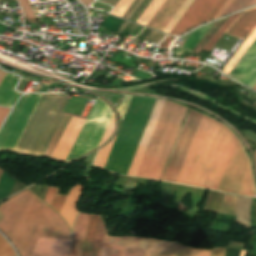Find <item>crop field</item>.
I'll use <instances>...</instances> for the list:
<instances>
[{
    "mask_svg": "<svg viewBox=\"0 0 256 256\" xmlns=\"http://www.w3.org/2000/svg\"><path fill=\"white\" fill-rule=\"evenodd\" d=\"M21 7H22V10H23V14H24V17L26 18V20L28 22H33V23H37L36 21V17L33 13V10L28 2V0H18Z\"/></svg>",
    "mask_w": 256,
    "mask_h": 256,
    "instance_id": "31",
    "label": "crop field"
},
{
    "mask_svg": "<svg viewBox=\"0 0 256 256\" xmlns=\"http://www.w3.org/2000/svg\"><path fill=\"white\" fill-rule=\"evenodd\" d=\"M41 94L22 96L8 120L0 130V151H13Z\"/></svg>",
    "mask_w": 256,
    "mask_h": 256,
    "instance_id": "7",
    "label": "crop field"
},
{
    "mask_svg": "<svg viewBox=\"0 0 256 256\" xmlns=\"http://www.w3.org/2000/svg\"><path fill=\"white\" fill-rule=\"evenodd\" d=\"M193 2V0H186L180 10L177 12V14L174 16V18L171 20V22L168 24V26L165 28L164 32L170 33V31L173 29L175 24L178 22V20L181 18V16L184 14V12L187 10V8L190 6V4Z\"/></svg>",
    "mask_w": 256,
    "mask_h": 256,
    "instance_id": "29",
    "label": "crop field"
},
{
    "mask_svg": "<svg viewBox=\"0 0 256 256\" xmlns=\"http://www.w3.org/2000/svg\"><path fill=\"white\" fill-rule=\"evenodd\" d=\"M226 249L217 248L215 250H211L210 256H224ZM241 250L227 249L225 256H240Z\"/></svg>",
    "mask_w": 256,
    "mask_h": 256,
    "instance_id": "33",
    "label": "crop field"
},
{
    "mask_svg": "<svg viewBox=\"0 0 256 256\" xmlns=\"http://www.w3.org/2000/svg\"><path fill=\"white\" fill-rule=\"evenodd\" d=\"M239 82L251 88L254 86V84L256 83V59L253 61L250 67L246 70V72L240 78Z\"/></svg>",
    "mask_w": 256,
    "mask_h": 256,
    "instance_id": "27",
    "label": "crop field"
},
{
    "mask_svg": "<svg viewBox=\"0 0 256 256\" xmlns=\"http://www.w3.org/2000/svg\"><path fill=\"white\" fill-rule=\"evenodd\" d=\"M113 128H114V116L112 117V119H111V121H110V123H109V125H108V127H107V129H106V131H105V133H104L100 143H99V145H101L102 143H104L107 140V138L109 137V135L112 132Z\"/></svg>",
    "mask_w": 256,
    "mask_h": 256,
    "instance_id": "38",
    "label": "crop field"
},
{
    "mask_svg": "<svg viewBox=\"0 0 256 256\" xmlns=\"http://www.w3.org/2000/svg\"><path fill=\"white\" fill-rule=\"evenodd\" d=\"M90 214L79 212L72 230L73 241L69 256H80Z\"/></svg>",
    "mask_w": 256,
    "mask_h": 256,
    "instance_id": "16",
    "label": "crop field"
},
{
    "mask_svg": "<svg viewBox=\"0 0 256 256\" xmlns=\"http://www.w3.org/2000/svg\"><path fill=\"white\" fill-rule=\"evenodd\" d=\"M245 252H246V251H242V252H241V256H244Z\"/></svg>",
    "mask_w": 256,
    "mask_h": 256,
    "instance_id": "48",
    "label": "crop field"
},
{
    "mask_svg": "<svg viewBox=\"0 0 256 256\" xmlns=\"http://www.w3.org/2000/svg\"><path fill=\"white\" fill-rule=\"evenodd\" d=\"M117 35H118V34H117ZM119 36H120V35H119ZM122 37H123V36H121V39H122ZM121 39H120V40H121ZM120 40H119V41H120ZM119 41H118V42H119ZM118 42H116V44H117Z\"/></svg>",
    "mask_w": 256,
    "mask_h": 256,
    "instance_id": "52",
    "label": "crop field"
},
{
    "mask_svg": "<svg viewBox=\"0 0 256 256\" xmlns=\"http://www.w3.org/2000/svg\"><path fill=\"white\" fill-rule=\"evenodd\" d=\"M143 0H135L134 3L131 5L129 10L126 12V14L123 16V19L129 20L130 17L133 15V13L136 11V9L139 7V5L142 3Z\"/></svg>",
    "mask_w": 256,
    "mask_h": 256,
    "instance_id": "37",
    "label": "crop field"
},
{
    "mask_svg": "<svg viewBox=\"0 0 256 256\" xmlns=\"http://www.w3.org/2000/svg\"><path fill=\"white\" fill-rule=\"evenodd\" d=\"M104 232H105V228H104L102 219L100 217L98 227H97V231H96V235H95L93 248H92V252H91V256H99V252H100Z\"/></svg>",
    "mask_w": 256,
    "mask_h": 256,
    "instance_id": "26",
    "label": "crop field"
},
{
    "mask_svg": "<svg viewBox=\"0 0 256 256\" xmlns=\"http://www.w3.org/2000/svg\"><path fill=\"white\" fill-rule=\"evenodd\" d=\"M251 1L252 0H235V2L229 8V10L226 12V14L235 12L239 9H242V8L248 6Z\"/></svg>",
    "mask_w": 256,
    "mask_h": 256,
    "instance_id": "34",
    "label": "crop field"
},
{
    "mask_svg": "<svg viewBox=\"0 0 256 256\" xmlns=\"http://www.w3.org/2000/svg\"><path fill=\"white\" fill-rule=\"evenodd\" d=\"M248 37V36H247ZM256 40V29L251 33V35L244 41V43L240 46V48L236 51V53L231 57V59L227 62V64L223 67L221 71L225 74H229V72L233 69L236 63L240 60V58L244 55L247 49L251 46V44Z\"/></svg>",
    "mask_w": 256,
    "mask_h": 256,
    "instance_id": "20",
    "label": "crop field"
},
{
    "mask_svg": "<svg viewBox=\"0 0 256 256\" xmlns=\"http://www.w3.org/2000/svg\"><path fill=\"white\" fill-rule=\"evenodd\" d=\"M217 190L256 196L249 160L238 140Z\"/></svg>",
    "mask_w": 256,
    "mask_h": 256,
    "instance_id": "6",
    "label": "crop field"
},
{
    "mask_svg": "<svg viewBox=\"0 0 256 256\" xmlns=\"http://www.w3.org/2000/svg\"><path fill=\"white\" fill-rule=\"evenodd\" d=\"M65 199H66V196H62V195L57 194L51 207L54 210H56L58 213H60Z\"/></svg>",
    "mask_w": 256,
    "mask_h": 256,
    "instance_id": "35",
    "label": "crop field"
},
{
    "mask_svg": "<svg viewBox=\"0 0 256 256\" xmlns=\"http://www.w3.org/2000/svg\"><path fill=\"white\" fill-rule=\"evenodd\" d=\"M238 197L224 195L218 213L235 216Z\"/></svg>",
    "mask_w": 256,
    "mask_h": 256,
    "instance_id": "23",
    "label": "crop field"
},
{
    "mask_svg": "<svg viewBox=\"0 0 256 256\" xmlns=\"http://www.w3.org/2000/svg\"><path fill=\"white\" fill-rule=\"evenodd\" d=\"M185 109L165 102L136 176L159 179Z\"/></svg>",
    "mask_w": 256,
    "mask_h": 256,
    "instance_id": "4",
    "label": "crop field"
},
{
    "mask_svg": "<svg viewBox=\"0 0 256 256\" xmlns=\"http://www.w3.org/2000/svg\"><path fill=\"white\" fill-rule=\"evenodd\" d=\"M165 101L157 100L127 175L135 176Z\"/></svg>",
    "mask_w": 256,
    "mask_h": 256,
    "instance_id": "12",
    "label": "crop field"
},
{
    "mask_svg": "<svg viewBox=\"0 0 256 256\" xmlns=\"http://www.w3.org/2000/svg\"><path fill=\"white\" fill-rule=\"evenodd\" d=\"M71 239L39 238L32 256H67Z\"/></svg>",
    "mask_w": 256,
    "mask_h": 256,
    "instance_id": "13",
    "label": "crop field"
},
{
    "mask_svg": "<svg viewBox=\"0 0 256 256\" xmlns=\"http://www.w3.org/2000/svg\"><path fill=\"white\" fill-rule=\"evenodd\" d=\"M256 58V41L252 44V46L248 49L245 55L241 58V60L237 63L234 69L228 75L229 77L239 80L245 70L249 67L252 61Z\"/></svg>",
    "mask_w": 256,
    "mask_h": 256,
    "instance_id": "19",
    "label": "crop field"
},
{
    "mask_svg": "<svg viewBox=\"0 0 256 256\" xmlns=\"http://www.w3.org/2000/svg\"><path fill=\"white\" fill-rule=\"evenodd\" d=\"M159 35V33H156V32H154V31H152L150 34H148L147 36H146V38H149V39H151V40H153L155 37H157Z\"/></svg>",
    "mask_w": 256,
    "mask_h": 256,
    "instance_id": "42",
    "label": "crop field"
},
{
    "mask_svg": "<svg viewBox=\"0 0 256 256\" xmlns=\"http://www.w3.org/2000/svg\"><path fill=\"white\" fill-rule=\"evenodd\" d=\"M112 115L107 104L97 98L65 163L96 149Z\"/></svg>",
    "mask_w": 256,
    "mask_h": 256,
    "instance_id": "5",
    "label": "crop field"
},
{
    "mask_svg": "<svg viewBox=\"0 0 256 256\" xmlns=\"http://www.w3.org/2000/svg\"><path fill=\"white\" fill-rule=\"evenodd\" d=\"M59 187L50 186L44 201L50 206Z\"/></svg>",
    "mask_w": 256,
    "mask_h": 256,
    "instance_id": "36",
    "label": "crop field"
},
{
    "mask_svg": "<svg viewBox=\"0 0 256 256\" xmlns=\"http://www.w3.org/2000/svg\"><path fill=\"white\" fill-rule=\"evenodd\" d=\"M9 111H10L9 108L0 107V125L3 122L4 118L6 117V115L8 114Z\"/></svg>",
    "mask_w": 256,
    "mask_h": 256,
    "instance_id": "40",
    "label": "crop field"
},
{
    "mask_svg": "<svg viewBox=\"0 0 256 256\" xmlns=\"http://www.w3.org/2000/svg\"><path fill=\"white\" fill-rule=\"evenodd\" d=\"M129 25H130V23H129ZM129 25H128V27H129ZM132 26H133V24H131V26H130L129 28L127 27L128 30L126 31V29H127V28H126V29L122 32L121 35H123V33H124L125 31H126V32H125V34H126ZM134 26H135V25H134ZM134 26L130 29V31L126 34V36H128V34L131 32V30L134 28ZM125 34H124V35H125Z\"/></svg>",
    "mask_w": 256,
    "mask_h": 256,
    "instance_id": "43",
    "label": "crop field"
},
{
    "mask_svg": "<svg viewBox=\"0 0 256 256\" xmlns=\"http://www.w3.org/2000/svg\"><path fill=\"white\" fill-rule=\"evenodd\" d=\"M185 0H166L148 27L163 31Z\"/></svg>",
    "mask_w": 256,
    "mask_h": 256,
    "instance_id": "15",
    "label": "crop field"
},
{
    "mask_svg": "<svg viewBox=\"0 0 256 256\" xmlns=\"http://www.w3.org/2000/svg\"><path fill=\"white\" fill-rule=\"evenodd\" d=\"M82 185L76 183L68 195L60 215L64 218L68 226L72 229L74 219L77 214L76 203L82 193Z\"/></svg>",
    "mask_w": 256,
    "mask_h": 256,
    "instance_id": "18",
    "label": "crop field"
},
{
    "mask_svg": "<svg viewBox=\"0 0 256 256\" xmlns=\"http://www.w3.org/2000/svg\"><path fill=\"white\" fill-rule=\"evenodd\" d=\"M255 27L256 7L244 11L240 15V17L226 31V34L246 39L247 36L254 30Z\"/></svg>",
    "mask_w": 256,
    "mask_h": 256,
    "instance_id": "14",
    "label": "crop field"
},
{
    "mask_svg": "<svg viewBox=\"0 0 256 256\" xmlns=\"http://www.w3.org/2000/svg\"><path fill=\"white\" fill-rule=\"evenodd\" d=\"M172 39H173L172 37L167 36V37L163 40V42L159 45V47H160V48H168V45L171 43Z\"/></svg>",
    "mask_w": 256,
    "mask_h": 256,
    "instance_id": "41",
    "label": "crop field"
},
{
    "mask_svg": "<svg viewBox=\"0 0 256 256\" xmlns=\"http://www.w3.org/2000/svg\"><path fill=\"white\" fill-rule=\"evenodd\" d=\"M98 219L99 215L91 214L81 256H90Z\"/></svg>",
    "mask_w": 256,
    "mask_h": 256,
    "instance_id": "22",
    "label": "crop field"
},
{
    "mask_svg": "<svg viewBox=\"0 0 256 256\" xmlns=\"http://www.w3.org/2000/svg\"><path fill=\"white\" fill-rule=\"evenodd\" d=\"M124 24V21L122 22V24L120 25V27ZM120 27H118V29L116 30V33L118 32V30L120 29Z\"/></svg>",
    "mask_w": 256,
    "mask_h": 256,
    "instance_id": "47",
    "label": "crop field"
},
{
    "mask_svg": "<svg viewBox=\"0 0 256 256\" xmlns=\"http://www.w3.org/2000/svg\"><path fill=\"white\" fill-rule=\"evenodd\" d=\"M0 228L21 256H31L38 237L71 238L63 219L29 189L1 204Z\"/></svg>",
    "mask_w": 256,
    "mask_h": 256,
    "instance_id": "2",
    "label": "crop field"
},
{
    "mask_svg": "<svg viewBox=\"0 0 256 256\" xmlns=\"http://www.w3.org/2000/svg\"><path fill=\"white\" fill-rule=\"evenodd\" d=\"M115 138L112 141H110L107 145H105L103 148L99 149L97 156L94 160V164L96 166L102 167V168L104 167Z\"/></svg>",
    "mask_w": 256,
    "mask_h": 256,
    "instance_id": "28",
    "label": "crop field"
},
{
    "mask_svg": "<svg viewBox=\"0 0 256 256\" xmlns=\"http://www.w3.org/2000/svg\"><path fill=\"white\" fill-rule=\"evenodd\" d=\"M255 157H256V152H255Z\"/></svg>",
    "mask_w": 256,
    "mask_h": 256,
    "instance_id": "53",
    "label": "crop field"
},
{
    "mask_svg": "<svg viewBox=\"0 0 256 256\" xmlns=\"http://www.w3.org/2000/svg\"><path fill=\"white\" fill-rule=\"evenodd\" d=\"M83 4L89 5L93 0H80Z\"/></svg>",
    "mask_w": 256,
    "mask_h": 256,
    "instance_id": "44",
    "label": "crop field"
},
{
    "mask_svg": "<svg viewBox=\"0 0 256 256\" xmlns=\"http://www.w3.org/2000/svg\"><path fill=\"white\" fill-rule=\"evenodd\" d=\"M85 120V118L64 114L44 156L65 161Z\"/></svg>",
    "mask_w": 256,
    "mask_h": 256,
    "instance_id": "8",
    "label": "crop field"
},
{
    "mask_svg": "<svg viewBox=\"0 0 256 256\" xmlns=\"http://www.w3.org/2000/svg\"><path fill=\"white\" fill-rule=\"evenodd\" d=\"M253 3H256V0H253V1L250 3V5L253 4Z\"/></svg>",
    "mask_w": 256,
    "mask_h": 256,
    "instance_id": "49",
    "label": "crop field"
},
{
    "mask_svg": "<svg viewBox=\"0 0 256 256\" xmlns=\"http://www.w3.org/2000/svg\"><path fill=\"white\" fill-rule=\"evenodd\" d=\"M2 172H3V170L0 169V176H1Z\"/></svg>",
    "mask_w": 256,
    "mask_h": 256,
    "instance_id": "51",
    "label": "crop field"
},
{
    "mask_svg": "<svg viewBox=\"0 0 256 256\" xmlns=\"http://www.w3.org/2000/svg\"><path fill=\"white\" fill-rule=\"evenodd\" d=\"M242 13V12H241ZM233 15L228 18V20L222 25V27L217 31L209 43L205 46L204 50L210 51L211 48L216 44V42L221 38L224 32L230 27V25L239 17V15Z\"/></svg>",
    "mask_w": 256,
    "mask_h": 256,
    "instance_id": "25",
    "label": "crop field"
},
{
    "mask_svg": "<svg viewBox=\"0 0 256 256\" xmlns=\"http://www.w3.org/2000/svg\"><path fill=\"white\" fill-rule=\"evenodd\" d=\"M209 252L180 243L149 239L145 256H209Z\"/></svg>",
    "mask_w": 256,
    "mask_h": 256,
    "instance_id": "11",
    "label": "crop field"
},
{
    "mask_svg": "<svg viewBox=\"0 0 256 256\" xmlns=\"http://www.w3.org/2000/svg\"><path fill=\"white\" fill-rule=\"evenodd\" d=\"M5 73L0 71V81L2 80V78L4 77Z\"/></svg>",
    "mask_w": 256,
    "mask_h": 256,
    "instance_id": "46",
    "label": "crop field"
},
{
    "mask_svg": "<svg viewBox=\"0 0 256 256\" xmlns=\"http://www.w3.org/2000/svg\"><path fill=\"white\" fill-rule=\"evenodd\" d=\"M134 0H120L114 9L111 11V14L116 15L120 18L125 14L127 9L130 7Z\"/></svg>",
    "mask_w": 256,
    "mask_h": 256,
    "instance_id": "30",
    "label": "crop field"
},
{
    "mask_svg": "<svg viewBox=\"0 0 256 256\" xmlns=\"http://www.w3.org/2000/svg\"><path fill=\"white\" fill-rule=\"evenodd\" d=\"M252 89L256 90V84H255V86Z\"/></svg>",
    "mask_w": 256,
    "mask_h": 256,
    "instance_id": "50",
    "label": "crop field"
},
{
    "mask_svg": "<svg viewBox=\"0 0 256 256\" xmlns=\"http://www.w3.org/2000/svg\"><path fill=\"white\" fill-rule=\"evenodd\" d=\"M67 95L43 94L14 152L41 157L63 115L59 112Z\"/></svg>",
    "mask_w": 256,
    "mask_h": 256,
    "instance_id": "3",
    "label": "crop field"
},
{
    "mask_svg": "<svg viewBox=\"0 0 256 256\" xmlns=\"http://www.w3.org/2000/svg\"><path fill=\"white\" fill-rule=\"evenodd\" d=\"M214 23V22H213ZM213 23L204 26L194 32L189 36L184 45L174 52L179 56L184 50L191 52L192 49L196 46V44L200 41V39L205 35V33L209 30V28L213 25ZM194 50V49H193Z\"/></svg>",
    "mask_w": 256,
    "mask_h": 256,
    "instance_id": "21",
    "label": "crop field"
},
{
    "mask_svg": "<svg viewBox=\"0 0 256 256\" xmlns=\"http://www.w3.org/2000/svg\"><path fill=\"white\" fill-rule=\"evenodd\" d=\"M0 256H16L12 246L0 235Z\"/></svg>",
    "mask_w": 256,
    "mask_h": 256,
    "instance_id": "32",
    "label": "crop field"
},
{
    "mask_svg": "<svg viewBox=\"0 0 256 256\" xmlns=\"http://www.w3.org/2000/svg\"><path fill=\"white\" fill-rule=\"evenodd\" d=\"M226 0H195L171 34L184 33L212 20Z\"/></svg>",
    "mask_w": 256,
    "mask_h": 256,
    "instance_id": "9",
    "label": "crop field"
},
{
    "mask_svg": "<svg viewBox=\"0 0 256 256\" xmlns=\"http://www.w3.org/2000/svg\"><path fill=\"white\" fill-rule=\"evenodd\" d=\"M233 1L234 0H227L226 3L223 5V7L220 9V11L217 13V15L214 17V19L224 15V13L230 7V5L233 3Z\"/></svg>",
    "mask_w": 256,
    "mask_h": 256,
    "instance_id": "39",
    "label": "crop field"
},
{
    "mask_svg": "<svg viewBox=\"0 0 256 256\" xmlns=\"http://www.w3.org/2000/svg\"><path fill=\"white\" fill-rule=\"evenodd\" d=\"M148 239L104 236L100 256H144Z\"/></svg>",
    "mask_w": 256,
    "mask_h": 256,
    "instance_id": "10",
    "label": "crop field"
},
{
    "mask_svg": "<svg viewBox=\"0 0 256 256\" xmlns=\"http://www.w3.org/2000/svg\"><path fill=\"white\" fill-rule=\"evenodd\" d=\"M128 25V22H125V24L123 25V27L119 30V33H121Z\"/></svg>",
    "mask_w": 256,
    "mask_h": 256,
    "instance_id": "45",
    "label": "crop field"
},
{
    "mask_svg": "<svg viewBox=\"0 0 256 256\" xmlns=\"http://www.w3.org/2000/svg\"><path fill=\"white\" fill-rule=\"evenodd\" d=\"M19 78L6 73L0 83V106L12 107L20 93L14 91Z\"/></svg>",
    "mask_w": 256,
    "mask_h": 256,
    "instance_id": "17",
    "label": "crop field"
},
{
    "mask_svg": "<svg viewBox=\"0 0 256 256\" xmlns=\"http://www.w3.org/2000/svg\"><path fill=\"white\" fill-rule=\"evenodd\" d=\"M201 116L186 109L159 180L176 181ZM236 140L227 127L202 116L176 182L216 190Z\"/></svg>",
    "mask_w": 256,
    "mask_h": 256,
    "instance_id": "1",
    "label": "crop field"
},
{
    "mask_svg": "<svg viewBox=\"0 0 256 256\" xmlns=\"http://www.w3.org/2000/svg\"><path fill=\"white\" fill-rule=\"evenodd\" d=\"M163 2L164 0H152V2L137 20V23L146 26V24L149 22V20L152 18V16L155 14V12L158 10Z\"/></svg>",
    "mask_w": 256,
    "mask_h": 256,
    "instance_id": "24",
    "label": "crop field"
}]
</instances>
